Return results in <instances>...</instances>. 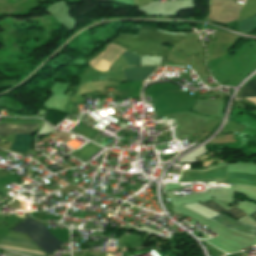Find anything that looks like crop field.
I'll list each match as a JSON object with an SVG mask.
<instances>
[{
	"label": "crop field",
	"mask_w": 256,
	"mask_h": 256,
	"mask_svg": "<svg viewBox=\"0 0 256 256\" xmlns=\"http://www.w3.org/2000/svg\"><path fill=\"white\" fill-rule=\"evenodd\" d=\"M8 255H9V256H18V255H16V254H13V253H10V252H9Z\"/></svg>",
	"instance_id": "crop-field-15"
},
{
	"label": "crop field",
	"mask_w": 256,
	"mask_h": 256,
	"mask_svg": "<svg viewBox=\"0 0 256 256\" xmlns=\"http://www.w3.org/2000/svg\"><path fill=\"white\" fill-rule=\"evenodd\" d=\"M241 32H248L256 29V16L238 22Z\"/></svg>",
	"instance_id": "crop-field-11"
},
{
	"label": "crop field",
	"mask_w": 256,
	"mask_h": 256,
	"mask_svg": "<svg viewBox=\"0 0 256 256\" xmlns=\"http://www.w3.org/2000/svg\"><path fill=\"white\" fill-rule=\"evenodd\" d=\"M157 67L124 68L125 80H145Z\"/></svg>",
	"instance_id": "crop-field-7"
},
{
	"label": "crop field",
	"mask_w": 256,
	"mask_h": 256,
	"mask_svg": "<svg viewBox=\"0 0 256 256\" xmlns=\"http://www.w3.org/2000/svg\"><path fill=\"white\" fill-rule=\"evenodd\" d=\"M200 205H202L218 214L221 213L222 211H225L238 219L247 216V214H245L243 211L238 210L239 208L236 209L237 207L227 211L224 208H222L220 205H218L216 202H214L213 200L202 202V203H200Z\"/></svg>",
	"instance_id": "crop-field-9"
},
{
	"label": "crop field",
	"mask_w": 256,
	"mask_h": 256,
	"mask_svg": "<svg viewBox=\"0 0 256 256\" xmlns=\"http://www.w3.org/2000/svg\"><path fill=\"white\" fill-rule=\"evenodd\" d=\"M126 50L117 45H108L105 51L89 61L91 67L106 72L109 70L112 63L117 59L120 54H123ZM120 57V56H119ZM118 57V58H119Z\"/></svg>",
	"instance_id": "crop-field-4"
},
{
	"label": "crop field",
	"mask_w": 256,
	"mask_h": 256,
	"mask_svg": "<svg viewBox=\"0 0 256 256\" xmlns=\"http://www.w3.org/2000/svg\"><path fill=\"white\" fill-rule=\"evenodd\" d=\"M225 183H240L248 185H256V175L246 173H228Z\"/></svg>",
	"instance_id": "crop-field-8"
},
{
	"label": "crop field",
	"mask_w": 256,
	"mask_h": 256,
	"mask_svg": "<svg viewBox=\"0 0 256 256\" xmlns=\"http://www.w3.org/2000/svg\"><path fill=\"white\" fill-rule=\"evenodd\" d=\"M250 216L256 221V212Z\"/></svg>",
	"instance_id": "crop-field-14"
},
{
	"label": "crop field",
	"mask_w": 256,
	"mask_h": 256,
	"mask_svg": "<svg viewBox=\"0 0 256 256\" xmlns=\"http://www.w3.org/2000/svg\"><path fill=\"white\" fill-rule=\"evenodd\" d=\"M227 165L206 172L183 171L178 182L226 176Z\"/></svg>",
	"instance_id": "crop-field-6"
},
{
	"label": "crop field",
	"mask_w": 256,
	"mask_h": 256,
	"mask_svg": "<svg viewBox=\"0 0 256 256\" xmlns=\"http://www.w3.org/2000/svg\"><path fill=\"white\" fill-rule=\"evenodd\" d=\"M183 34L165 33L153 28H141L138 36L121 35L115 42L139 55L166 56L168 49L163 44L175 45Z\"/></svg>",
	"instance_id": "crop-field-1"
},
{
	"label": "crop field",
	"mask_w": 256,
	"mask_h": 256,
	"mask_svg": "<svg viewBox=\"0 0 256 256\" xmlns=\"http://www.w3.org/2000/svg\"><path fill=\"white\" fill-rule=\"evenodd\" d=\"M11 230L27 233L28 237L47 255L54 252L62 244L49 233L44 225L30 218L24 220Z\"/></svg>",
	"instance_id": "crop-field-2"
},
{
	"label": "crop field",
	"mask_w": 256,
	"mask_h": 256,
	"mask_svg": "<svg viewBox=\"0 0 256 256\" xmlns=\"http://www.w3.org/2000/svg\"><path fill=\"white\" fill-rule=\"evenodd\" d=\"M6 238H12V239H18V240H24V241H30V240H27V239H21V238H15V237H9V236H5ZM2 243H7V244H12V245H17V246H22V247H27V248H33V249H38V248H35V247H30V246H24V245H19V244H14V243H8V242H3V241H0ZM31 242V241H30ZM0 243V245H4V246H10V247H16V248H22V247H17V246H12V245H7V244H2ZM10 247H7V248H10ZM16 248H12V249H16ZM27 248H22V249H27ZM20 249V250H22ZM33 249H28V250H33ZM20 250H16V251H19V252H22L26 255H29V256H43L44 254L43 253H40V252H35V253H39V254H43V255H39V254H35V253H31V252H34V251H38V250H34V251H31V252H27V251H20Z\"/></svg>",
	"instance_id": "crop-field-10"
},
{
	"label": "crop field",
	"mask_w": 256,
	"mask_h": 256,
	"mask_svg": "<svg viewBox=\"0 0 256 256\" xmlns=\"http://www.w3.org/2000/svg\"><path fill=\"white\" fill-rule=\"evenodd\" d=\"M254 95H256V79L251 80L250 83L241 91L242 97Z\"/></svg>",
	"instance_id": "crop-field-12"
},
{
	"label": "crop field",
	"mask_w": 256,
	"mask_h": 256,
	"mask_svg": "<svg viewBox=\"0 0 256 256\" xmlns=\"http://www.w3.org/2000/svg\"><path fill=\"white\" fill-rule=\"evenodd\" d=\"M211 220L247 235L256 236V227L236 221L226 215L220 214L211 218Z\"/></svg>",
	"instance_id": "crop-field-5"
},
{
	"label": "crop field",
	"mask_w": 256,
	"mask_h": 256,
	"mask_svg": "<svg viewBox=\"0 0 256 256\" xmlns=\"http://www.w3.org/2000/svg\"><path fill=\"white\" fill-rule=\"evenodd\" d=\"M128 66L141 65L140 57L129 52L123 54Z\"/></svg>",
	"instance_id": "crop-field-13"
},
{
	"label": "crop field",
	"mask_w": 256,
	"mask_h": 256,
	"mask_svg": "<svg viewBox=\"0 0 256 256\" xmlns=\"http://www.w3.org/2000/svg\"><path fill=\"white\" fill-rule=\"evenodd\" d=\"M39 123L36 124H4L0 123V136L6 137L13 133H24L34 131ZM39 126V125H38ZM31 133L17 134L12 150L26 153L31 142Z\"/></svg>",
	"instance_id": "crop-field-3"
}]
</instances>
